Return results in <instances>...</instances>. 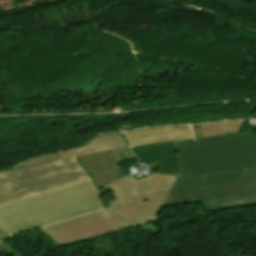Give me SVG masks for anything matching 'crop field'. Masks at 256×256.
Instances as JSON below:
<instances>
[{"label":"crop field","mask_w":256,"mask_h":256,"mask_svg":"<svg viewBox=\"0 0 256 256\" xmlns=\"http://www.w3.org/2000/svg\"><path fill=\"white\" fill-rule=\"evenodd\" d=\"M90 180L76 156L16 170L12 168L0 172V207Z\"/></svg>","instance_id":"obj_4"},{"label":"crop field","mask_w":256,"mask_h":256,"mask_svg":"<svg viewBox=\"0 0 256 256\" xmlns=\"http://www.w3.org/2000/svg\"><path fill=\"white\" fill-rule=\"evenodd\" d=\"M104 206L93 181L0 208V226L11 236Z\"/></svg>","instance_id":"obj_1"},{"label":"crop field","mask_w":256,"mask_h":256,"mask_svg":"<svg viewBox=\"0 0 256 256\" xmlns=\"http://www.w3.org/2000/svg\"><path fill=\"white\" fill-rule=\"evenodd\" d=\"M181 176L256 168L253 131L177 141Z\"/></svg>","instance_id":"obj_3"},{"label":"crop field","mask_w":256,"mask_h":256,"mask_svg":"<svg viewBox=\"0 0 256 256\" xmlns=\"http://www.w3.org/2000/svg\"><path fill=\"white\" fill-rule=\"evenodd\" d=\"M203 202L207 213L256 205V169L179 176L162 208Z\"/></svg>","instance_id":"obj_2"},{"label":"crop field","mask_w":256,"mask_h":256,"mask_svg":"<svg viewBox=\"0 0 256 256\" xmlns=\"http://www.w3.org/2000/svg\"><path fill=\"white\" fill-rule=\"evenodd\" d=\"M0 251L11 253L14 256H22L19 252H17L15 249H13L10 245H8L4 241L0 242Z\"/></svg>","instance_id":"obj_11"},{"label":"crop field","mask_w":256,"mask_h":256,"mask_svg":"<svg viewBox=\"0 0 256 256\" xmlns=\"http://www.w3.org/2000/svg\"><path fill=\"white\" fill-rule=\"evenodd\" d=\"M133 158L130 148L78 157L99 190L126 176L117 163Z\"/></svg>","instance_id":"obj_7"},{"label":"crop field","mask_w":256,"mask_h":256,"mask_svg":"<svg viewBox=\"0 0 256 256\" xmlns=\"http://www.w3.org/2000/svg\"><path fill=\"white\" fill-rule=\"evenodd\" d=\"M129 145L141 146L155 143L192 139L189 125L151 127L122 132Z\"/></svg>","instance_id":"obj_8"},{"label":"crop field","mask_w":256,"mask_h":256,"mask_svg":"<svg viewBox=\"0 0 256 256\" xmlns=\"http://www.w3.org/2000/svg\"><path fill=\"white\" fill-rule=\"evenodd\" d=\"M139 162L159 161L161 173L180 175L175 143H163L132 148Z\"/></svg>","instance_id":"obj_10"},{"label":"crop field","mask_w":256,"mask_h":256,"mask_svg":"<svg viewBox=\"0 0 256 256\" xmlns=\"http://www.w3.org/2000/svg\"><path fill=\"white\" fill-rule=\"evenodd\" d=\"M9 237V235L0 227V240Z\"/></svg>","instance_id":"obj_12"},{"label":"crop field","mask_w":256,"mask_h":256,"mask_svg":"<svg viewBox=\"0 0 256 256\" xmlns=\"http://www.w3.org/2000/svg\"><path fill=\"white\" fill-rule=\"evenodd\" d=\"M58 246L124 231L122 225L103 209L71 220L40 228Z\"/></svg>","instance_id":"obj_6"},{"label":"crop field","mask_w":256,"mask_h":256,"mask_svg":"<svg viewBox=\"0 0 256 256\" xmlns=\"http://www.w3.org/2000/svg\"><path fill=\"white\" fill-rule=\"evenodd\" d=\"M129 147L127 143L125 142L123 136L116 132V133H107V134H102L97 137H95L93 140L88 142L87 144L75 148L71 151L39 158V159H34L30 161H26L21 163L20 165L14 167L19 168L27 165H33V164H40L44 162H50L70 156H82V155H88L89 154H94V153H99L103 151H108V150H114V149H120V148H125Z\"/></svg>","instance_id":"obj_9"},{"label":"crop field","mask_w":256,"mask_h":256,"mask_svg":"<svg viewBox=\"0 0 256 256\" xmlns=\"http://www.w3.org/2000/svg\"><path fill=\"white\" fill-rule=\"evenodd\" d=\"M176 178L148 173L135 181L131 175L126 176L107 187L115 198L105 201L107 209L126 230L157 222L156 215Z\"/></svg>","instance_id":"obj_5"}]
</instances>
